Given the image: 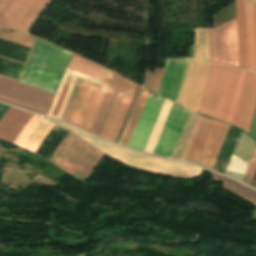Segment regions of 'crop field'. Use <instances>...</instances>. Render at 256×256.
Listing matches in <instances>:
<instances>
[{"label":"crop field","instance_id":"obj_21","mask_svg":"<svg viewBox=\"0 0 256 256\" xmlns=\"http://www.w3.org/2000/svg\"><path fill=\"white\" fill-rule=\"evenodd\" d=\"M76 79L74 76L64 74L47 116L61 118Z\"/></svg>","mask_w":256,"mask_h":256},{"label":"crop field","instance_id":"obj_20","mask_svg":"<svg viewBox=\"0 0 256 256\" xmlns=\"http://www.w3.org/2000/svg\"><path fill=\"white\" fill-rule=\"evenodd\" d=\"M239 68L248 70L244 0H235Z\"/></svg>","mask_w":256,"mask_h":256},{"label":"crop field","instance_id":"obj_10","mask_svg":"<svg viewBox=\"0 0 256 256\" xmlns=\"http://www.w3.org/2000/svg\"><path fill=\"white\" fill-rule=\"evenodd\" d=\"M209 63L188 60L177 104L197 112L210 69Z\"/></svg>","mask_w":256,"mask_h":256},{"label":"crop field","instance_id":"obj_28","mask_svg":"<svg viewBox=\"0 0 256 256\" xmlns=\"http://www.w3.org/2000/svg\"><path fill=\"white\" fill-rule=\"evenodd\" d=\"M0 38L9 40V41H12V42H15V43H18V44H21V45H24V46H27V47H30V48L33 47V45H34V43H35V41L37 39L36 37H34L32 35H28V34H23V33H5V32H0ZM26 62H27V60H26ZM22 72H23V70H22ZM20 77H21V75H20ZM20 77H19V79H20ZM19 79H18V81H19Z\"/></svg>","mask_w":256,"mask_h":256},{"label":"crop field","instance_id":"obj_29","mask_svg":"<svg viewBox=\"0 0 256 256\" xmlns=\"http://www.w3.org/2000/svg\"><path fill=\"white\" fill-rule=\"evenodd\" d=\"M82 80H80V79H77V81H76V84H75V86H74V89H73V91H72V94H71V96H70V99H69V101H68V103H67V106H66V108H65V111H64V113H63V116H62V120H67V118H68V115H69V113H70V111H71V108H72V106H73V103H74V101H75V99H76V96H77V94H78V91H79V89H80V87H81V84H82Z\"/></svg>","mask_w":256,"mask_h":256},{"label":"crop field","instance_id":"obj_25","mask_svg":"<svg viewBox=\"0 0 256 256\" xmlns=\"http://www.w3.org/2000/svg\"><path fill=\"white\" fill-rule=\"evenodd\" d=\"M171 104H172V102H170L168 100H165L164 105H163V107L161 109L159 117H158V119L156 121L154 129H153V131L151 133V136L149 138V141H148L144 151L150 152V153L152 152L153 147H154V145L156 143V140L158 138V135H159L160 130H161L162 126H163V123L165 121V118L167 116V113H168V111L170 109Z\"/></svg>","mask_w":256,"mask_h":256},{"label":"crop field","instance_id":"obj_22","mask_svg":"<svg viewBox=\"0 0 256 256\" xmlns=\"http://www.w3.org/2000/svg\"><path fill=\"white\" fill-rule=\"evenodd\" d=\"M240 133L241 131L237 128L231 125L229 126L214 166L212 168L213 170L218 171L222 174L224 173Z\"/></svg>","mask_w":256,"mask_h":256},{"label":"crop field","instance_id":"obj_3","mask_svg":"<svg viewBox=\"0 0 256 256\" xmlns=\"http://www.w3.org/2000/svg\"><path fill=\"white\" fill-rule=\"evenodd\" d=\"M60 48L38 39L20 82L55 93L72 56Z\"/></svg>","mask_w":256,"mask_h":256},{"label":"crop field","instance_id":"obj_1","mask_svg":"<svg viewBox=\"0 0 256 256\" xmlns=\"http://www.w3.org/2000/svg\"><path fill=\"white\" fill-rule=\"evenodd\" d=\"M47 119V118H45ZM52 121L67 130L74 133L76 136L82 140L89 143L91 146L96 149L104 152L106 155L122 162L128 164L134 168L164 174L168 176H179L183 178H195L199 175L202 169L181 161L169 160L157 158L149 155H145L136 151L124 149L122 147L116 146L104 140L93 137L89 134H86L70 125L47 119Z\"/></svg>","mask_w":256,"mask_h":256},{"label":"crop field","instance_id":"obj_32","mask_svg":"<svg viewBox=\"0 0 256 256\" xmlns=\"http://www.w3.org/2000/svg\"><path fill=\"white\" fill-rule=\"evenodd\" d=\"M163 68H155L150 89L157 93L158 86L162 77Z\"/></svg>","mask_w":256,"mask_h":256},{"label":"crop field","instance_id":"obj_18","mask_svg":"<svg viewBox=\"0 0 256 256\" xmlns=\"http://www.w3.org/2000/svg\"><path fill=\"white\" fill-rule=\"evenodd\" d=\"M249 70L256 72V1L245 0Z\"/></svg>","mask_w":256,"mask_h":256},{"label":"crop field","instance_id":"obj_6","mask_svg":"<svg viewBox=\"0 0 256 256\" xmlns=\"http://www.w3.org/2000/svg\"><path fill=\"white\" fill-rule=\"evenodd\" d=\"M228 126L224 122L203 117L185 160L211 169Z\"/></svg>","mask_w":256,"mask_h":256},{"label":"crop field","instance_id":"obj_24","mask_svg":"<svg viewBox=\"0 0 256 256\" xmlns=\"http://www.w3.org/2000/svg\"><path fill=\"white\" fill-rule=\"evenodd\" d=\"M194 58L208 61L207 28L194 29Z\"/></svg>","mask_w":256,"mask_h":256},{"label":"crop field","instance_id":"obj_23","mask_svg":"<svg viewBox=\"0 0 256 256\" xmlns=\"http://www.w3.org/2000/svg\"><path fill=\"white\" fill-rule=\"evenodd\" d=\"M212 180L223 182L221 187L234 193L235 195L239 196L240 198L254 204L256 207V192L248 189L249 187L247 188L229 178L222 177V176H219V175H216L213 173H212Z\"/></svg>","mask_w":256,"mask_h":256},{"label":"crop field","instance_id":"obj_8","mask_svg":"<svg viewBox=\"0 0 256 256\" xmlns=\"http://www.w3.org/2000/svg\"><path fill=\"white\" fill-rule=\"evenodd\" d=\"M50 1L0 0V29L27 32Z\"/></svg>","mask_w":256,"mask_h":256},{"label":"crop field","instance_id":"obj_33","mask_svg":"<svg viewBox=\"0 0 256 256\" xmlns=\"http://www.w3.org/2000/svg\"><path fill=\"white\" fill-rule=\"evenodd\" d=\"M66 72H68V73H70V74H72V75H75V76H77V77H79V78H82V79H84V80H87V81H89V82H91V83H94V84H96V85H100V81H98V80H95V79H93V78H91V77H88V76H86V75H83V74H81V73H78V72H76V71H74V70H71V69H67V71Z\"/></svg>","mask_w":256,"mask_h":256},{"label":"crop field","instance_id":"obj_13","mask_svg":"<svg viewBox=\"0 0 256 256\" xmlns=\"http://www.w3.org/2000/svg\"><path fill=\"white\" fill-rule=\"evenodd\" d=\"M137 86L138 85L123 79L107 121L100 135L101 137L113 141L115 140Z\"/></svg>","mask_w":256,"mask_h":256},{"label":"crop field","instance_id":"obj_27","mask_svg":"<svg viewBox=\"0 0 256 256\" xmlns=\"http://www.w3.org/2000/svg\"><path fill=\"white\" fill-rule=\"evenodd\" d=\"M197 116H198V115L195 114V113H192V112L190 113L189 118H188V120H187V122H186V125H185V127H184V130H183V132H182V135H181V137H180V139H179V142H178V144H177V147H176V149H175L174 154H173L172 157L178 158V159L181 158L182 153H183V151H184V148H185V146H186V143H187V141H188V138H189V136H190V133H191V131H192V128H193V126H194V123H195V121H196Z\"/></svg>","mask_w":256,"mask_h":256},{"label":"crop field","instance_id":"obj_30","mask_svg":"<svg viewBox=\"0 0 256 256\" xmlns=\"http://www.w3.org/2000/svg\"><path fill=\"white\" fill-rule=\"evenodd\" d=\"M141 89H142V87H141V86H138L137 91H136V93H135V95H134V98H133V100H132V103H131V105H130V108H129V110H128V113H127V115H126V117H125V120H124V122H123V125H122V127H121V130H120V132H119V134H118V137H117V139H116V141H118V142L120 141V139H121V137H122V134H123L124 129H125L126 125H127V122H128L129 117H130V115H131V113H132V110H133V108H134V105H135V103H136V101H137V98H138V96H139V93H140Z\"/></svg>","mask_w":256,"mask_h":256},{"label":"crop field","instance_id":"obj_16","mask_svg":"<svg viewBox=\"0 0 256 256\" xmlns=\"http://www.w3.org/2000/svg\"><path fill=\"white\" fill-rule=\"evenodd\" d=\"M187 60H165V70L158 95L177 102Z\"/></svg>","mask_w":256,"mask_h":256},{"label":"crop field","instance_id":"obj_12","mask_svg":"<svg viewBox=\"0 0 256 256\" xmlns=\"http://www.w3.org/2000/svg\"><path fill=\"white\" fill-rule=\"evenodd\" d=\"M189 113V111L172 104L152 153L172 156Z\"/></svg>","mask_w":256,"mask_h":256},{"label":"crop field","instance_id":"obj_11","mask_svg":"<svg viewBox=\"0 0 256 256\" xmlns=\"http://www.w3.org/2000/svg\"><path fill=\"white\" fill-rule=\"evenodd\" d=\"M209 61L238 68L235 23L208 29Z\"/></svg>","mask_w":256,"mask_h":256},{"label":"crop field","instance_id":"obj_17","mask_svg":"<svg viewBox=\"0 0 256 256\" xmlns=\"http://www.w3.org/2000/svg\"><path fill=\"white\" fill-rule=\"evenodd\" d=\"M240 71L241 70L238 69H228L227 77L215 117L216 119L228 121Z\"/></svg>","mask_w":256,"mask_h":256},{"label":"crop field","instance_id":"obj_35","mask_svg":"<svg viewBox=\"0 0 256 256\" xmlns=\"http://www.w3.org/2000/svg\"><path fill=\"white\" fill-rule=\"evenodd\" d=\"M249 135L256 138V111H255V114H254V118H253V122H252V125H251Z\"/></svg>","mask_w":256,"mask_h":256},{"label":"crop field","instance_id":"obj_31","mask_svg":"<svg viewBox=\"0 0 256 256\" xmlns=\"http://www.w3.org/2000/svg\"><path fill=\"white\" fill-rule=\"evenodd\" d=\"M255 170H256V149H255L253 157H252V159L250 161V164H249V166L247 168V171H246L245 176H244L242 181L247 183V184H250Z\"/></svg>","mask_w":256,"mask_h":256},{"label":"crop field","instance_id":"obj_9","mask_svg":"<svg viewBox=\"0 0 256 256\" xmlns=\"http://www.w3.org/2000/svg\"><path fill=\"white\" fill-rule=\"evenodd\" d=\"M256 107V74L241 71L229 123L249 133Z\"/></svg>","mask_w":256,"mask_h":256},{"label":"crop field","instance_id":"obj_34","mask_svg":"<svg viewBox=\"0 0 256 256\" xmlns=\"http://www.w3.org/2000/svg\"><path fill=\"white\" fill-rule=\"evenodd\" d=\"M201 116H199L198 117V119H197V122H196V124H195V127H194V129H193V131H192V134H191V136H190V139H189V141H188V144H187V146H186V149H185V151H184V153H183V156H182V158L181 159H185V157H186V154H187V152H188V149H189V147H190V145H191V142H192V140H193V137H194V135H195V132H196V130H197V127H198V125H199V123H200V120H201Z\"/></svg>","mask_w":256,"mask_h":256},{"label":"crop field","instance_id":"obj_14","mask_svg":"<svg viewBox=\"0 0 256 256\" xmlns=\"http://www.w3.org/2000/svg\"><path fill=\"white\" fill-rule=\"evenodd\" d=\"M164 98L148 95L134 133L129 143V147L138 150H144L160 109L163 105Z\"/></svg>","mask_w":256,"mask_h":256},{"label":"crop field","instance_id":"obj_4","mask_svg":"<svg viewBox=\"0 0 256 256\" xmlns=\"http://www.w3.org/2000/svg\"><path fill=\"white\" fill-rule=\"evenodd\" d=\"M33 115L34 114L28 113L26 111H21L10 107L0 120V138L13 143L18 133ZM53 126L54 124L49 123L34 115L33 118L19 133L16 140L14 141V144H17L35 153L41 141Z\"/></svg>","mask_w":256,"mask_h":256},{"label":"crop field","instance_id":"obj_19","mask_svg":"<svg viewBox=\"0 0 256 256\" xmlns=\"http://www.w3.org/2000/svg\"><path fill=\"white\" fill-rule=\"evenodd\" d=\"M122 79H123L122 76L114 73L113 78L108 87V90L106 92V95L104 97V100L97 114V117L95 119V122L90 131L91 133L96 134L98 136L100 135Z\"/></svg>","mask_w":256,"mask_h":256},{"label":"crop field","instance_id":"obj_2","mask_svg":"<svg viewBox=\"0 0 256 256\" xmlns=\"http://www.w3.org/2000/svg\"><path fill=\"white\" fill-rule=\"evenodd\" d=\"M68 67L103 82L110 80L114 73L76 54ZM108 83L107 80L98 88L84 81L67 121L89 132Z\"/></svg>","mask_w":256,"mask_h":256},{"label":"crop field","instance_id":"obj_5","mask_svg":"<svg viewBox=\"0 0 256 256\" xmlns=\"http://www.w3.org/2000/svg\"><path fill=\"white\" fill-rule=\"evenodd\" d=\"M102 156L103 153L69 132L50 160L72 174L87 178Z\"/></svg>","mask_w":256,"mask_h":256},{"label":"crop field","instance_id":"obj_15","mask_svg":"<svg viewBox=\"0 0 256 256\" xmlns=\"http://www.w3.org/2000/svg\"><path fill=\"white\" fill-rule=\"evenodd\" d=\"M227 69L228 68L226 67L214 64L211 65V69L199 107V113L213 118L215 117Z\"/></svg>","mask_w":256,"mask_h":256},{"label":"crop field","instance_id":"obj_26","mask_svg":"<svg viewBox=\"0 0 256 256\" xmlns=\"http://www.w3.org/2000/svg\"><path fill=\"white\" fill-rule=\"evenodd\" d=\"M148 93H149V91H147L146 89H143V91H142V93H141V96H140V98H139V100H138V102H137V105H136V107H135V110H134V112H133V115H132V117H131V120H130V122H129V125H128V127H127V130H126V132H125V135H124V137H123V140H122V144H124V145H128V143H129V140H130V138H131V135H132V133H133V130H134V128H135V125H136V123H137V120H138V117H139V115H140V112H141V110H142V107H143V105H144V102H145V100H146V97H147V95H148Z\"/></svg>","mask_w":256,"mask_h":256},{"label":"crop field","instance_id":"obj_7","mask_svg":"<svg viewBox=\"0 0 256 256\" xmlns=\"http://www.w3.org/2000/svg\"><path fill=\"white\" fill-rule=\"evenodd\" d=\"M54 93L0 77V101L46 115Z\"/></svg>","mask_w":256,"mask_h":256}]
</instances>
